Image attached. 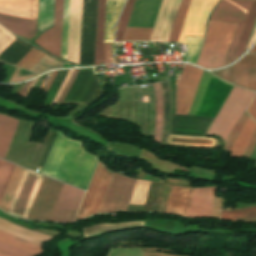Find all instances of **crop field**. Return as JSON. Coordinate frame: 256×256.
Segmentation results:
<instances>
[{
    "label": "crop field",
    "mask_w": 256,
    "mask_h": 256,
    "mask_svg": "<svg viewBox=\"0 0 256 256\" xmlns=\"http://www.w3.org/2000/svg\"><path fill=\"white\" fill-rule=\"evenodd\" d=\"M98 160L58 133L43 174L86 190Z\"/></svg>",
    "instance_id": "8a807250"
},
{
    "label": "crop field",
    "mask_w": 256,
    "mask_h": 256,
    "mask_svg": "<svg viewBox=\"0 0 256 256\" xmlns=\"http://www.w3.org/2000/svg\"><path fill=\"white\" fill-rule=\"evenodd\" d=\"M236 25L215 21L209 22L198 66L209 69L222 67Z\"/></svg>",
    "instance_id": "ac0d7876"
},
{
    "label": "crop field",
    "mask_w": 256,
    "mask_h": 256,
    "mask_svg": "<svg viewBox=\"0 0 256 256\" xmlns=\"http://www.w3.org/2000/svg\"><path fill=\"white\" fill-rule=\"evenodd\" d=\"M255 94L254 92L233 86L207 134L220 135L226 140L229 132L243 114Z\"/></svg>",
    "instance_id": "34b2d1b8"
},
{
    "label": "crop field",
    "mask_w": 256,
    "mask_h": 256,
    "mask_svg": "<svg viewBox=\"0 0 256 256\" xmlns=\"http://www.w3.org/2000/svg\"><path fill=\"white\" fill-rule=\"evenodd\" d=\"M253 1L222 0L210 20L238 23L224 65L231 63Z\"/></svg>",
    "instance_id": "412701ff"
},
{
    "label": "crop field",
    "mask_w": 256,
    "mask_h": 256,
    "mask_svg": "<svg viewBox=\"0 0 256 256\" xmlns=\"http://www.w3.org/2000/svg\"><path fill=\"white\" fill-rule=\"evenodd\" d=\"M113 174L99 162L76 220L99 211Z\"/></svg>",
    "instance_id": "f4fd0767"
},
{
    "label": "crop field",
    "mask_w": 256,
    "mask_h": 256,
    "mask_svg": "<svg viewBox=\"0 0 256 256\" xmlns=\"http://www.w3.org/2000/svg\"><path fill=\"white\" fill-rule=\"evenodd\" d=\"M43 176L25 170L8 213L27 218Z\"/></svg>",
    "instance_id": "dd49c442"
},
{
    "label": "crop field",
    "mask_w": 256,
    "mask_h": 256,
    "mask_svg": "<svg viewBox=\"0 0 256 256\" xmlns=\"http://www.w3.org/2000/svg\"><path fill=\"white\" fill-rule=\"evenodd\" d=\"M135 181L115 173L99 212L126 211Z\"/></svg>",
    "instance_id": "e52e79f7"
},
{
    "label": "crop field",
    "mask_w": 256,
    "mask_h": 256,
    "mask_svg": "<svg viewBox=\"0 0 256 256\" xmlns=\"http://www.w3.org/2000/svg\"><path fill=\"white\" fill-rule=\"evenodd\" d=\"M62 185L44 176L27 219L48 220Z\"/></svg>",
    "instance_id": "d8731c3e"
},
{
    "label": "crop field",
    "mask_w": 256,
    "mask_h": 256,
    "mask_svg": "<svg viewBox=\"0 0 256 256\" xmlns=\"http://www.w3.org/2000/svg\"><path fill=\"white\" fill-rule=\"evenodd\" d=\"M202 72L193 66L184 65L176 87V114H188Z\"/></svg>",
    "instance_id": "5a996713"
},
{
    "label": "crop field",
    "mask_w": 256,
    "mask_h": 256,
    "mask_svg": "<svg viewBox=\"0 0 256 256\" xmlns=\"http://www.w3.org/2000/svg\"><path fill=\"white\" fill-rule=\"evenodd\" d=\"M217 2L218 0H191L179 42L186 44L185 36H203L205 19Z\"/></svg>",
    "instance_id": "3316defc"
},
{
    "label": "crop field",
    "mask_w": 256,
    "mask_h": 256,
    "mask_svg": "<svg viewBox=\"0 0 256 256\" xmlns=\"http://www.w3.org/2000/svg\"><path fill=\"white\" fill-rule=\"evenodd\" d=\"M231 88L232 85L211 76L195 116L215 117Z\"/></svg>",
    "instance_id": "28ad6ade"
},
{
    "label": "crop field",
    "mask_w": 256,
    "mask_h": 256,
    "mask_svg": "<svg viewBox=\"0 0 256 256\" xmlns=\"http://www.w3.org/2000/svg\"><path fill=\"white\" fill-rule=\"evenodd\" d=\"M85 192L63 185L49 220L74 221Z\"/></svg>",
    "instance_id": "d1516ede"
},
{
    "label": "crop field",
    "mask_w": 256,
    "mask_h": 256,
    "mask_svg": "<svg viewBox=\"0 0 256 256\" xmlns=\"http://www.w3.org/2000/svg\"><path fill=\"white\" fill-rule=\"evenodd\" d=\"M181 0H162L149 40H169Z\"/></svg>",
    "instance_id": "22f410ed"
},
{
    "label": "crop field",
    "mask_w": 256,
    "mask_h": 256,
    "mask_svg": "<svg viewBox=\"0 0 256 256\" xmlns=\"http://www.w3.org/2000/svg\"><path fill=\"white\" fill-rule=\"evenodd\" d=\"M82 0H70L67 60L78 64Z\"/></svg>",
    "instance_id": "cbeb9de0"
},
{
    "label": "crop field",
    "mask_w": 256,
    "mask_h": 256,
    "mask_svg": "<svg viewBox=\"0 0 256 256\" xmlns=\"http://www.w3.org/2000/svg\"><path fill=\"white\" fill-rule=\"evenodd\" d=\"M63 0H55L54 27L43 33L35 42L60 57Z\"/></svg>",
    "instance_id": "5142ce71"
},
{
    "label": "crop field",
    "mask_w": 256,
    "mask_h": 256,
    "mask_svg": "<svg viewBox=\"0 0 256 256\" xmlns=\"http://www.w3.org/2000/svg\"><path fill=\"white\" fill-rule=\"evenodd\" d=\"M214 193L215 187L207 189H193L186 216L210 218Z\"/></svg>",
    "instance_id": "d9b57169"
},
{
    "label": "crop field",
    "mask_w": 256,
    "mask_h": 256,
    "mask_svg": "<svg viewBox=\"0 0 256 256\" xmlns=\"http://www.w3.org/2000/svg\"><path fill=\"white\" fill-rule=\"evenodd\" d=\"M233 70L236 85L256 90V55H245Z\"/></svg>",
    "instance_id": "733c2abd"
},
{
    "label": "crop field",
    "mask_w": 256,
    "mask_h": 256,
    "mask_svg": "<svg viewBox=\"0 0 256 256\" xmlns=\"http://www.w3.org/2000/svg\"><path fill=\"white\" fill-rule=\"evenodd\" d=\"M38 0H0V13L37 20Z\"/></svg>",
    "instance_id": "4a817a6b"
},
{
    "label": "crop field",
    "mask_w": 256,
    "mask_h": 256,
    "mask_svg": "<svg viewBox=\"0 0 256 256\" xmlns=\"http://www.w3.org/2000/svg\"><path fill=\"white\" fill-rule=\"evenodd\" d=\"M35 20L23 19L0 14V23L18 36L34 37L36 34Z\"/></svg>",
    "instance_id": "bc2a9ffb"
},
{
    "label": "crop field",
    "mask_w": 256,
    "mask_h": 256,
    "mask_svg": "<svg viewBox=\"0 0 256 256\" xmlns=\"http://www.w3.org/2000/svg\"><path fill=\"white\" fill-rule=\"evenodd\" d=\"M18 122V120L0 114V157L3 159L6 156Z\"/></svg>",
    "instance_id": "214f88e0"
},
{
    "label": "crop field",
    "mask_w": 256,
    "mask_h": 256,
    "mask_svg": "<svg viewBox=\"0 0 256 256\" xmlns=\"http://www.w3.org/2000/svg\"><path fill=\"white\" fill-rule=\"evenodd\" d=\"M125 0H106L104 43H113V28Z\"/></svg>",
    "instance_id": "92a150f3"
},
{
    "label": "crop field",
    "mask_w": 256,
    "mask_h": 256,
    "mask_svg": "<svg viewBox=\"0 0 256 256\" xmlns=\"http://www.w3.org/2000/svg\"><path fill=\"white\" fill-rule=\"evenodd\" d=\"M104 15H105V0H98L95 65L100 64V61H102L103 64L105 63L104 49H103Z\"/></svg>",
    "instance_id": "dafd665d"
},
{
    "label": "crop field",
    "mask_w": 256,
    "mask_h": 256,
    "mask_svg": "<svg viewBox=\"0 0 256 256\" xmlns=\"http://www.w3.org/2000/svg\"><path fill=\"white\" fill-rule=\"evenodd\" d=\"M255 128L256 123L248 117L235 144L231 149L230 155L242 157Z\"/></svg>",
    "instance_id": "00972430"
},
{
    "label": "crop field",
    "mask_w": 256,
    "mask_h": 256,
    "mask_svg": "<svg viewBox=\"0 0 256 256\" xmlns=\"http://www.w3.org/2000/svg\"><path fill=\"white\" fill-rule=\"evenodd\" d=\"M24 170H25L24 168L19 167L17 165L14 168V171L12 173V176L10 178V181L8 183V186L5 190V193H4L1 203H0V207L2 209H4L5 211H8V209H9V206L14 197V194L16 192V189L18 187V184L20 182V179L23 175Z\"/></svg>",
    "instance_id": "a9b5d70f"
},
{
    "label": "crop field",
    "mask_w": 256,
    "mask_h": 256,
    "mask_svg": "<svg viewBox=\"0 0 256 256\" xmlns=\"http://www.w3.org/2000/svg\"><path fill=\"white\" fill-rule=\"evenodd\" d=\"M54 0H39L38 31L39 33L53 25Z\"/></svg>",
    "instance_id": "4177f3b9"
},
{
    "label": "crop field",
    "mask_w": 256,
    "mask_h": 256,
    "mask_svg": "<svg viewBox=\"0 0 256 256\" xmlns=\"http://www.w3.org/2000/svg\"><path fill=\"white\" fill-rule=\"evenodd\" d=\"M141 225H144V220L123 222V223H113V224H108V223L96 224V225L82 228L83 238L90 235H94V234H98V233H102V232H106V231H110V230H114L122 227L141 226Z\"/></svg>",
    "instance_id": "730fd06b"
},
{
    "label": "crop field",
    "mask_w": 256,
    "mask_h": 256,
    "mask_svg": "<svg viewBox=\"0 0 256 256\" xmlns=\"http://www.w3.org/2000/svg\"><path fill=\"white\" fill-rule=\"evenodd\" d=\"M215 141L216 140L213 138L170 135L168 144L184 145V146L213 147Z\"/></svg>",
    "instance_id": "eef30255"
},
{
    "label": "crop field",
    "mask_w": 256,
    "mask_h": 256,
    "mask_svg": "<svg viewBox=\"0 0 256 256\" xmlns=\"http://www.w3.org/2000/svg\"><path fill=\"white\" fill-rule=\"evenodd\" d=\"M0 241L16 248L22 249L34 255L40 254L42 252V247L36 244L30 243L28 241L22 240L20 238L14 237L12 235L6 234L0 231Z\"/></svg>",
    "instance_id": "ae1a2a85"
},
{
    "label": "crop field",
    "mask_w": 256,
    "mask_h": 256,
    "mask_svg": "<svg viewBox=\"0 0 256 256\" xmlns=\"http://www.w3.org/2000/svg\"><path fill=\"white\" fill-rule=\"evenodd\" d=\"M156 102V125L154 139L161 143L163 124V98L160 83L153 84Z\"/></svg>",
    "instance_id": "d3111659"
},
{
    "label": "crop field",
    "mask_w": 256,
    "mask_h": 256,
    "mask_svg": "<svg viewBox=\"0 0 256 256\" xmlns=\"http://www.w3.org/2000/svg\"><path fill=\"white\" fill-rule=\"evenodd\" d=\"M255 16H256V1L253 2L252 8L250 10L247 22L245 24L241 39L239 41L236 53L234 55L233 61L236 60L240 55H242L245 51L246 45H247V41L255 20ZM232 61V62H233Z\"/></svg>",
    "instance_id": "750c4746"
},
{
    "label": "crop field",
    "mask_w": 256,
    "mask_h": 256,
    "mask_svg": "<svg viewBox=\"0 0 256 256\" xmlns=\"http://www.w3.org/2000/svg\"><path fill=\"white\" fill-rule=\"evenodd\" d=\"M135 0H128L127 4L121 14L120 20H119V24H118V28H117V37H116V41H122L123 40V36L125 33V29L127 27L128 24V20L132 11V7L134 4Z\"/></svg>",
    "instance_id": "bd1437ed"
},
{
    "label": "crop field",
    "mask_w": 256,
    "mask_h": 256,
    "mask_svg": "<svg viewBox=\"0 0 256 256\" xmlns=\"http://www.w3.org/2000/svg\"><path fill=\"white\" fill-rule=\"evenodd\" d=\"M62 62H59L49 55H45L38 63H36L30 71L41 74L52 68H61Z\"/></svg>",
    "instance_id": "1d83c4d3"
},
{
    "label": "crop field",
    "mask_w": 256,
    "mask_h": 256,
    "mask_svg": "<svg viewBox=\"0 0 256 256\" xmlns=\"http://www.w3.org/2000/svg\"><path fill=\"white\" fill-rule=\"evenodd\" d=\"M190 0H182L177 18H176V22L170 37L169 41H177L180 31H181V27L188 9V5H189Z\"/></svg>",
    "instance_id": "120bbe31"
},
{
    "label": "crop field",
    "mask_w": 256,
    "mask_h": 256,
    "mask_svg": "<svg viewBox=\"0 0 256 256\" xmlns=\"http://www.w3.org/2000/svg\"><path fill=\"white\" fill-rule=\"evenodd\" d=\"M210 76H211V74H209L208 72H206V71L203 72L202 78L200 80L197 92L195 94V97H194V100H193V103H192V106L190 108V111H189L188 115H191V116L195 115L196 110H197L198 105L201 101V98L203 96V93L205 91V88L207 86V83L209 81Z\"/></svg>",
    "instance_id": "d32e631a"
},
{
    "label": "crop field",
    "mask_w": 256,
    "mask_h": 256,
    "mask_svg": "<svg viewBox=\"0 0 256 256\" xmlns=\"http://www.w3.org/2000/svg\"><path fill=\"white\" fill-rule=\"evenodd\" d=\"M149 183L150 182H147V181H140V180L136 181V185H135L130 203H137V204L145 203Z\"/></svg>",
    "instance_id": "5866460e"
},
{
    "label": "crop field",
    "mask_w": 256,
    "mask_h": 256,
    "mask_svg": "<svg viewBox=\"0 0 256 256\" xmlns=\"http://www.w3.org/2000/svg\"><path fill=\"white\" fill-rule=\"evenodd\" d=\"M242 210L243 211H239V210L222 211L220 219L227 220V221H237L236 218L256 216V207H251V208L242 209Z\"/></svg>",
    "instance_id": "028f5c9d"
},
{
    "label": "crop field",
    "mask_w": 256,
    "mask_h": 256,
    "mask_svg": "<svg viewBox=\"0 0 256 256\" xmlns=\"http://www.w3.org/2000/svg\"><path fill=\"white\" fill-rule=\"evenodd\" d=\"M14 164L0 160V200L9 181Z\"/></svg>",
    "instance_id": "e1f06a70"
},
{
    "label": "crop field",
    "mask_w": 256,
    "mask_h": 256,
    "mask_svg": "<svg viewBox=\"0 0 256 256\" xmlns=\"http://www.w3.org/2000/svg\"><path fill=\"white\" fill-rule=\"evenodd\" d=\"M202 39L203 37H186L189 52V63H196Z\"/></svg>",
    "instance_id": "0bd39190"
},
{
    "label": "crop field",
    "mask_w": 256,
    "mask_h": 256,
    "mask_svg": "<svg viewBox=\"0 0 256 256\" xmlns=\"http://www.w3.org/2000/svg\"><path fill=\"white\" fill-rule=\"evenodd\" d=\"M69 0H64L61 57L66 59Z\"/></svg>",
    "instance_id": "b80d0937"
},
{
    "label": "crop field",
    "mask_w": 256,
    "mask_h": 256,
    "mask_svg": "<svg viewBox=\"0 0 256 256\" xmlns=\"http://www.w3.org/2000/svg\"><path fill=\"white\" fill-rule=\"evenodd\" d=\"M152 29L127 28L123 41L148 40Z\"/></svg>",
    "instance_id": "c035e120"
},
{
    "label": "crop field",
    "mask_w": 256,
    "mask_h": 256,
    "mask_svg": "<svg viewBox=\"0 0 256 256\" xmlns=\"http://www.w3.org/2000/svg\"><path fill=\"white\" fill-rule=\"evenodd\" d=\"M248 115V114H247ZM246 113L244 112V114L242 115V117L239 119V121L237 122V124L235 125V127L232 129L230 135L228 136L226 142H225V146H224V150L225 151H230L232 145L234 144L243 124L245 123L247 116Z\"/></svg>",
    "instance_id": "c21b1889"
},
{
    "label": "crop field",
    "mask_w": 256,
    "mask_h": 256,
    "mask_svg": "<svg viewBox=\"0 0 256 256\" xmlns=\"http://www.w3.org/2000/svg\"><path fill=\"white\" fill-rule=\"evenodd\" d=\"M0 252L9 256H34L9 245L0 242Z\"/></svg>",
    "instance_id": "03da06ac"
},
{
    "label": "crop field",
    "mask_w": 256,
    "mask_h": 256,
    "mask_svg": "<svg viewBox=\"0 0 256 256\" xmlns=\"http://www.w3.org/2000/svg\"><path fill=\"white\" fill-rule=\"evenodd\" d=\"M15 38L7 30L0 26V52L6 48ZM5 50V49H4ZM3 50V51H4ZM2 51V52H3ZM1 52V53H2ZM0 53V54H1Z\"/></svg>",
    "instance_id": "b54c1fbb"
},
{
    "label": "crop field",
    "mask_w": 256,
    "mask_h": 256,
    "mask_svg": "<svg viewBox=\"0 0 256 256\" xmlns=\"http://www.w3.org/2000/svg\"><path fill=\"white\" fill-rule=\"evenodd\" d=\"M45 54L40 52V51H36L29 59H27L21 66L20 68H24L29 70L37 61H39Z\"/></svg>",
    "instance_id": "5d738f31"
},
{
    "label": "crop field",
    "mask_w": 256,
    "mask_h": 256,
    "mask_svg": "<svg viewBox=\"0 0 256 256\" xmlns=\"http://www.w3.org/2000/svg\"><path fill=\"white\" fill-rule=\"evenodd\" d=\"M73 71L74 70H69L68 74L66 75L64 81L62 82V84H61V86H60L56 96L54 97L53 101L51 102L50 106L53 107V104L56 103L58 101V99L60 98V96H61V94H62V92H63V90H64V88H65V86H66V84H67V82H68V80L70 78V76H71V74L73 73Z\"/></svg>",
    "instance_id": "d23c7cc5"
},
{
    "label": "crop field",
    "mask_w": 256,
    "mask_h": 256,
    "mask_svg": "<svg viewBox=\"0 0 256 256\" xmlns=\"http://www.w3.org/2000/svg\"><path fill=\"white\" fill-rule=\"evenodd\" d=\"M221 74L223 79L234 84L232 66L226 69H222Z\"/></svg>",
    "instance_id": "425ffa30"
},
{
    "label": "crop field",
    "mask_w": 256,
    "mask_h": 256,
    "mask_svg": "<svg viewBox=\"0 0 256 256\" xmlns=\"http://www.w3.org/2000/svg\"><path fill=\"white\" fill-rule=\"evenodd\" d=\"M255 145H256V130H255V132H254V134L251 138V141H250L243 157L249 158L253 149H254V147H255Z\"/></svg>",
    "instance_id": "25e5ab78"
},
{
    "label": "crop field",
    "mask_w": 256,
    "mask_h": 256,
    "mask_svg": "<svg viewBox=\"0 0 256 256\" xmlns=\"http://www.w3.org/2000/svg\"><path fill=\"white\" fill-rule=\"evenodd\" d=\"M78 71H79V69H78V70H75V72L73 73V75H72V77H71V79H70V81H69V83H68L66 89L64 90V92H63V94H62V96H61V98H60V100H59L60 103H62L63 100L65 99V97H66V95H67V93H68V91H69V89H70V87H71V85H72V83H73V81H74V79H75V77H76Z\"/></svg>",
    "instance_id": "73cf0c24"
},
{
    "label": "crop field",
    "mask_w": 256,
    "mask_h": 256,
    "mask_svg": "<svg viewBox=\"0 0 256 256\" xmlns=\"http://www.w3.org/2000/svg\"><path fill=\"white\" fill-rule=\"evenodd\" d=\"M106 63H113L111 44H104Z\"/></svg>",
    "instance_id": "89e229c0"
},
{
    "label": "crop field",
    "mask_w": 256,
    "mask_h": 256,
    "mask_svg": "<svg viewBox=\"0 0 256 256\" xmlns=\"http://www.w3.org/2000/svg\"><path fill=\"white\" fill-rule=\"evenodd\" d=\"M256 40V22L254 24V27L252 29V32H251V35H250V38H249V42H248V45H247V48L248 49Z\"/></svg>",
    "instance_id": "1f2cbd36"
},
{
    "label": "crop field",
    "mask_w": 256,
    "mask_h": 256,
    "mask_svg": "<svg viewBox=\"0 0 256 256\" xmlns=\"http://www.w3.org/2000/svg\"><path fill=\"white\" fill-rule=\"evenodd\" d=\"M248 112L256 120V98L249 107Z\"/></svg>",
    "instance_id": "dbb93151"
},
{
    "label": "crop field",
    "mask_w": 256,
    "mask_h": 256,
    "mask_svg": "<svg viewBox=\"0 0 256 256\" xmlns=\"http://www.w3.org/2000/svg\"><path fill=\"white\" fill-rule=\"evenodd\" d=\"M36 51V49L32 48L17 64L16 66H20L27 58H29L34 52Z\"/></svg>",
    "instance_id": "0fb4a251"
},
{
    "label": "crop field",
    "mask_w": 256,
    "mask_h": 256,
    "mask_svg": "<svg viewBox=\"0 0 256 256\" xmlns=\"http://www.w3.org/2000/svg\"><path fill=\"white\" fill-rule=\"evenodd\" d=\"M57 72H58V71H54V72H53V74H52L50 80L48 81V83H47V85H46V87H45V89H44L45 91H47L49 85L51 84V82H52V80L54 79V77H55V75L57 74Z\"/></svg>",
    "instance_id": "1d79db26"
},
{
    "label": "crop field",
    "mask_w": 256,
    "mask_h": 256,
    "mask_svg": "<svg viewBox=\"0 0 256 256\" xmlns=\"http://www.w3.org/2000/svg\"><path fill=\"white\" fill-rule=\"evenodd\" d=\"M38 79V78H37ZM37 79H35L31 85L29 86V88L27 89V91L25 92L24 96L27 97L28 93L30 92L31 88L33 87V85L35 84V82L37 81Z\"/></svg>",
    "instance_id": "9d1cf04e"
},
{
    "label": "crop field",
    "mask_w": 256,
    "mask_h": 256,
    "mask_svg": "<svg viewBox=\"0 0 256 256\" xmlns=\"http://www.w3.org/2000/svg\"><path fill=\"white\" fill-rule=\"evenodd\" d=\"M31 83V81L30 82H28L26 85H25V87L23 88V90L20 92V94H19V96H23V94H24V92L26 91V89H27V87L29 86V84ZM31 85V84H30Z\"/></svg>",
    "instance_id": "447ae74e"
},
{
    "label": "crop field",
    "mask_w": 256,
    "mask_h": 256,
    "mask_svg": "<svg viewBox=\"0 0 256 256\" xmlns=\"http://www.w3.org/2000/svg\"><path fill=\"white\" fill-rule=\"evenodd\" d=\"M251 158L256 159V147H255V149H254V151H253V153H252ZM254 167H256V164H255V166H254Z\"/></svg>",
    "instance_id": "0765c3eb"
},
{
    "label": "crop field",
    "mask_w": 256,
    "mask_h": 256,
    "mask_svg": "<svg viewBox=\"0 0 256 256\" xmlns=\"http://www.w3.org/2000/svg\"><path fill=\"white\" fill-rule=\"evenodd\" d=\"M249 53H256V45L249 51Z\"/></svg>",
    "instance_id": "db79e9e6"
},
{
    "label": "crop field",
    "mask_w": 256,
    "mask_h": 256,
    "mask_svg": "<svg viewBox=\"0 0 256 256\" xmlns=\"http://www.w3.org/2000/svg\"><path fill=\"white\" fill-rule=\"evenodd\" d=\"M0 256H6V255L0 253Z\"/></svg>",
    "instance_id": "7b73153f"
}]
</instances>
